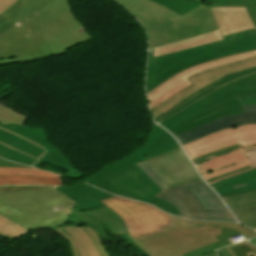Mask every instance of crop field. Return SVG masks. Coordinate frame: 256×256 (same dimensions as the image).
I'll list each match as a JSON object with an SVG mask.
<instances>
[{"label":"crop field","mask_w":256,"mask_h":256,"mask_svg":"<svg viewBox=\"0 0 256 256\" xmlns=\"http://www.w3.org/2000/svg\"><path fill=\"white\" fill-rule=\"evenodd\" d=\"M179 147L171 135L155 124L143 148L114 161L85 182L123 197L148 202L180 216L176 207L154 196L161 190L135 164Z\"/></svg>","instance_id":"8a807250"},{"label":"crop field","mask_w":256,"mask_h":256,"mask_svg":"<svg viewBox=\"0 0 256 256\" xmlns=\"http://www.w3.org/2000/svg\"><path fill=\"white\" fill-rule=\"evenodd\" d=\"M147 161L172 187L200 179L181 148Z\"/></svg>","instance_id":"5142ce71"},{"label":"crop field","mask_w":256,"mask_h":256,"mask_svg":"<svg viewBox=\"0 0 256 256\" xmlns=\"http://www.w3.org/2000/svg\"><path fill=\"white\" fill-rule=\"evenodd\" d=\"M221 231H222V235L217 236V239L220 242L192 251L190 253L184 254L183 256H217L216 250L218 248H222L225 245L231 244V241L228 238L239 235V233L233 230H227V229L221 228Z\"/></svg>","instance_id":"730fd06b"},{"label":"crop field","mask_w":256,"mask_h":256,"mask_svg":"<svg viewBox=\"0 0 256 256\" xmlns=\"http://www.w3.org/2000/svg\"><path fill=\"white\" fill-rule=\"evenodd\" d=\"M0 185H61V179L60 178L0 176Z\"/></svg>","instance_id":"eef30255"},{"label":"crop field","mask_w":256,"mask_h":256,"mask_svg":"<svg viewBox=\"0 0 256 256\" xmlns=\"http://www.w3.org/2000/svg\"><path fill=\"white\" fill-rule=\"evenodd\" d=\"M15 25L17 24L0 14V34L11 29Z\"/></svg>","instance_id":"028f5c9d"},{"label":"crop field","mask_w":256,"mask_h":256,"mask_svg":"<svg viewBox=\"0 0 256 256\" xmlns=\"http://www.w3.org/2000/svg\"><path fill=\"white\" fill-rule=\"evenodd\" d=\"M245 112L243 114L234 115L223 118L221 120L200 126L192 131L176 136L181 145L199 139L201 137L212 134L220 129L239 126L246 123L256 124V105H242Z\"/></svg>","instance_id":"4a817a6b"},{"label":"crop field","mask_w":256,"mask_h":256,"mask_svg":"<svg viewBox=\"0 0 256 256\" xmlns=\"http://www.w3.org/2000/svg\"><path fill=\"white\" fill-rule=\"evenodd\" d=\"M74 204L55 187L0 193V215L29 231L64 224Z\"/></svg>","instance_id":"412701ff"},{"label":"crop field","mask_w":256,"mask_h":256,"mask_svg":"<svg viewBox=\"0 0 256 256\" xmlns=\"http://www.w3.org/2000/svg\"><path fill=\"white\" fill-rule=\"evenodd\" d=\"M29 231L0 216V235L15 240Z\"/></svg>","instance_id":"d3111659"},{"label":"crop field","mask_w":256,"mask_h":256,"mask_svg":"<svg viewBox=\"0 0 256 256\" xmlns=\"http://www.w3.org/2000/svg\"><path fill=\"white\" fill-rule=\"evenodd\" d=\"M52 147L44 128L0 124V156L3 158L33 166Z\"/></svg>","instance_id":"3316defc"},{"label":"crop field","mask_w":256,"mask_h":256,"mask_svg":"<svg viewBox=\"0 0 256 256\" xmlns=\"http://www.w3.org/2000/svg\"><path fill=\"white\" fill-rule=\"evenodd\" d=\"M223 38L222 41L157 58L150 54L147 91L150 92L171 76L200 63L256 49L255 29Z\"/></svg>","instance_id":"dd49c442"},{"label":"crop field","mask_w":256,"mask_h":256,"mask_svg":"<svg viewBox=\"0 0 256 256\" xmlns=\"http://www.w3.org/2000/svg\"><path fill=\"white\" fill-rule=\"evenodd\" d=\"M150 1L161 4L166 8H168L169 10L181 16L202 5V3L197 0H150Z\"/></svg>","instance_id":"ae1a2a85"},{"label":"crop field","mask_w":256,"mask_h":256,"mask_svg":"<svg viewBox=\"0 0 256 256\" xmlns=\"http://www.w3.org/2000/svg\"><path fill=\"white\" fill-rule=\"evenodd\" d=\"M227 249L232 256H246L245 254L253 251L256 254V247L249 243H241L240 245L228 246Z\"/></svg>","instance_id":"d32e631a"},{"label":"crop field","mask_w":256,"mask_h":256,"mask_svg":"<svg viewBox=\"0 0 256 256\" xmlns=\"http://www.w3.org/2000/svg\"><path fill=\"white\" fill-rule=\"evenodd\" d=\"M58 190L72 198L77 204L74 207L82 212L97 208L107 207L99 201L115 196L86 184H79L67 187H57Z\"/></svg>","instance_id":"92a150f3"},{"label":"crop field","mask_w":256,"mask_h":256,"mask_svg":"<svg viewBox=\"0 0 256 256\" xmlns=\"http://www.w3.org/2000/svg\"><path fill=\"white\" fill-rule=\"evenodd\" d=\"M250 94H256V68L225 77L157 121L176 136L222 117L243 113L236 96Z\"/></svg>","instance_id":"ac0d7876"},{"label":"crop field","mask_w":256,"mask_h":256,"mask_svg":"<svg viewBox=\"0 0 256 256\" xmlns=\"http://www.w3.org/2000/svg\"><path fill=\"white\" fill-rule=\"evenodd\" d=\"M42 163L66 170L68 171L66 175L72 178L80 179L84 174L81 171L73 168L55 147L46 153L34 166L39 168Z\"/></svg>","instance_id":"4177f3b9"},{"label":"crop field","mask_w":256,"mask_h":256,"mask_svg":"<svg viewBox=\"0 0 256 256\" xmlns=\"http://www.w3.org/2000/svg\"><path fill=\"white\" fill-rule=\"evenodd\" d=\"M211 10L223 36L254 28L244 7H214Z\"/></svg>","instance_id":"214f88e0"},{"label":"crop field","mask_w":256,"mask_h":256,"mask_svg":"<svg viewBox=\"0 0 256 256\" xmlns=\"http://www.w3.org/2000/svg\"><path fill=\"white\" fill-rule=\"evenodd\" d=\"M117 2H119L120 4L124 5L125 7H130L133 4L139 2L140 0H115Z\"/></svg>","instance_id":"b80d0937"},{"label":"crop field","mask_w":256,"mask_h":256,"mask_svg":"<svg viewBox=\"0 0 256 256\" xmlns=\"http://www.w3.org/2000/svg\"><path fill=\"white\" fill-rule=\"evenodd\" d=\"M211 186L221 196L256 191V169Z\"/></svg>","instance_id":"00972430"},{"label":"crop field","mask_w":256,"mask_h":256,"mask_svg":"<svg viewBox=\"0 0 256 256\" xmlns=\"http://www.w3.org/2000/svg\"><path fill=\"white\" fill-rule=\"evenodd\" d=\"M256 67V58L245 60L238 63H233L227 66H223L218 69L209 70L206 72H202L198 75L191 77L189 80L194 84L186 89H184L179 94L173 96L169 100L165 101L155 109L151 110L153 118H157L164 114L165 112L174 108L178 103L182 102L186 98L198 93L202 89L208 87L213 82L219 80L224 76H228L232 73H236L238 71H244L247 69H251ZM201 88V90H200Z\"/></svg>","instance_id":"cbeb9de0"},{"label":"crop field","mask_w":256,"mask_h":256,"mask_svg":"<svg viewBox=\"0 0 256 256\" xmlns=\"http://www.w3.org/2000/svg\"><path fill=\"white\" fill-rule=\"evenodd\" d=\"M249 159L252 161V163L256 166V150L246 152Z\"/></svg>","instance_id":"c035e120"},{"label":"crop field","mask_w":256,"mask_h":256,"mask_svg":"<svg viewBox=\"0 0 256 256\" xmlns=\"http://www.w3.org/2000/svg\"><path fill=\"white\" fill-rule=\"evenodd\" d=\"M137 165L163 190L156 196L176 206L183 217L235 221L223 202L202 180L172 188L146 160Z\"/></svg>","instance_id":"e52e79f7"},{"label":"crop field","mask_w":256,"mask_h":256,"mask_svg":"<svg viewBox=\"0 0 256 256\" xmlns=\"http://www.w3.org/2000/svg\"><path fill=\"white\" fill-rule=\"evenodd\" d=\"M49 1L0 0V13L19 25L0 35V65L52 56L36 15Z\"/></svg>","instance_id":"34b2d1b8"},{"label":"crop field","mask_w":256,"mask_h":256,"mask_svg":"<svg viewBox=\"0 0 256 256\" xmlns=\"http://www.w3.org/2000/svg\"><path fill=\"white\" fill-rule=\"evenodd\" d=\"M37 15L43 37L53 56L91 40L86 31H79L78 28L82 26L72 14L67 0H51Z\"/></svg>","instance_id":"5a996713"},{"label":"crop field","mask_w":256,"mask_h":256,"mask_svg":"<svg viewBox=\"0 0 256 256\" xmlns=\"http://www.w3.org/2000/svg\"><path fill=\"white\" fill-rule=\"evenodd\" d=\"M241 104H256V95L238 97Z\"/></svg>","instance_id":"e1f06a70"},{"label":"crop field","mask_w":256,"mask_h":256,"mask_svg":"<svg viewBox=\"0 0 256 256\" xmlns=\"http://www.w3.org/2000/svg\"><path fill=\"white\" fill-rule=\"evenodd\" d=\"M186 222H187V226L192 225L191 220L186 219Z\"/></svg>","instance_id":"03da06ac"},{"label":"crop field","mask_w":256,"mask_h":256,"mask_svg":"<svg viewBox=\"0 0 256 256\" xmlns=\"http://www.w3.org/2000/svg\"><path fill=\"white\" fill-rule=\"evenodd\" d=\"M70 215L89 223L91 227L98 231L102 239L107 237L105 231L98 224L100 222L110 230L113 236L128 234L123 220L109 207L87 213H82L76 208H73Z\"/></svg>","instance_id":"bc2a9ffb"},{"label":"crop field","mask_w":256,"mask_h":256,"mask_svg":"<svg viewBox=\"0 0 256 256\" xmlns=\"http://www.w3.org/2000/svg\"><path fill=\"white\" fill-rule=\"evenodd\" d=\"M240 142L242 147L256 144V125L247 124L220 130L212 135L183 145L190 159L215 149Z\"/></svg>","instance_id":"22f410ed"},{"label":"crop field","mask_w":256,"mask_h":256,"mask_svg":"<svg viewBox=\"0 0 256 256\" xmlns=\"http://www.w3.org/2000/svg\"><path fill=\"white\" fill-rule=\"evenodd\" d=\"M255 56H256V50L229 56V57H225V58H221V59H217L214 61L200 64L193 68H190V69L170 78L165 83H163L161 86H159L155 90L148 93L149 103L156 100L157 98L161 97L162 95L168 93L169 91L175 89L176 87L182 85L183 83L189 81L187 78H190L194 74H198L202 71L221 67L222 65H227L229 63L238 62V61L252 58Z\"/></svg>","instance_id":"733c2abd"},{"label":"crop field","mask_w":256,"mask_h":256,"mask_svg":"<svg viewBox=\"0 0 256 256\" xmlns=\"http://www.w3.org/2000/svg\"><path fill=\"white\" fill-rule=\"evenodd\" d=\"M193 225H209V226H217V227H223V228H228V229H234L248 238L256 235V233L246 229L247 227L245 228L244 226L239 225V224L193 221Z\"/></svg>","instance_id":"120bbe31"},{"label":"crop field","mask_w":256,"mask_h":256,"mask_svg":"<svg viewBox=\"0 0 256 256\" xmlns=\"http://www.w3.org/2000/svg\"><path fill=\"white\" fill-rule=\"evenodd\" d=\"M199 1H201V2H202V0H199Z\"/></svg>","instance_id":"b54c1fbb"},{"label":"crop field","mask_w":256,"mask_h":256,"mask_svg":"<svg viewBox=\"0 0 256 256\" xmlns=\"http://www.w3.org/2000/svg\"><path fill=\"white\" fill-rule=\"evenodd\" d=\"M219 6H244L246 7L256 27V0H217Z\"/></svg>","instance_id":"1d83c4d3"},{"label":"crop field","mask_w":256,"mask_h":256,"mask_svg":"<svg viewBox=\"0 0 256 256\" xmlns=\"http://www.w3.org/2000/svg\"><path fill=\"white\" fill-rule=\"evenodd\" d=\"M192 85V83L189 81L185 84H183L182 86L176 88L175 90L169 92L168 94L162 96L161 98L157 99L156 101L150 103V108L153 109L155 108L156 106H158L160 103L164 102L165 100H167L168 98L172 97L173 95H175L176 93L182 91L184 88L188 87Z\"/></svg>","instance_id":"5866460e"},{"label":"crop field","mask_w":256,"mask_h":256,"mask_svg":"<svg viewBox=\"0 0 256 256\" xmlns=\"http://www.w3.org/2000/svg\"><path fill=\"white\" fill-rule=\"evenodd\" d=\"M101 202L119 214L133 239L164 232L163 227L172 226L167 214L148 204L118 196Z\"/></svg>","instance_id":"d1516ede"},{"label":"crop field","mask_w":256,"mask_h":256,"mask_svg":"<svg viewBox=\"0 0 256 256\" xmlns=\"http://www.w3.org/2000/svg\"><path fill=\"white\" fill-rule=\"evenodd\" d=\"M222 39L223 38L221 36V33L218 30V31L207 33V34L195 36L192 38L184 39L181 41H177L174 43L166 44L163 46H159L154 49L153 56L156 57V56L204 45V44L215 42Z\"/></svg>","instance_id":"a9b5d70f"},{"label":"crop field","mask_w":256,"mask_h":256,"mask_svg":"<svg viewBox=\"0 0 256 256\" xmlns=\"http://www.w3.org/2000/svg\"><path fill=\"white\" fill-rule=\"evenodd\" d=\"M252 149H256V146L242 148L238 143L191 160L200 174L211 185L255 169L244 152Z\"/></svg>","instance_id":"28ad6ade"},{"label":"crop field","mask_w":256,"mask_h":256,"mask_svg":"<svg viewBox=\"0 0 256 256\" xmlns=\"http://www.w3.org/2000/svg\"><path fill=\"white\" fill-rule=\"evenodd\" d=\"M219 253L221 254V256H231L226 247L220 249Z\"/></svg>","instance_id":"c21b1889"},{"label":"crop field","mask_w":256,"mask_h":256,"mask_svg":"<svg viewBox=\"0 0 256 256\" xmlns=\"http://www.w3.org/2000/svg\"><path fill=\"white\" fill-rule=\"evenodd\" d=\"M0 167H17V168H30V167H26V166H22V165H18L15 163H11L5 160L0 159Z\"/></svg>","instance_id":"0bd39190"},{"label":"crop field","mask_w":256,"mask_h":256,"mask_svg":"<svg viewBox=\"0 0 256 256\" xmlns=\"http://www.w3.org/2000/svg\"><path fill=\"white\" fill-rule=\"evenodd\" d=\"M223 198L240 222L253 229L256 228V192Z\"/></svg>","instance_id":"dafd665d"},{"label":"crop field","mask_w":256,"mask_h":256,"mask_svg":"<svg viewBox=\"0 0 256 256\" xmlns=\"http://www.w3.org/2000/svg\"><path fill=\"white\" fill-rule=\"evenodd\" d=\"M170 216L173 227L165 228L167 232L133 240L127 236L147 256H182L189 251L218 242L220 228L209 226L186 227L185 219Z\"/></svg>","instance_id":"d8731c3e"},{"label":"crop field","mask_w":256,"mask_h":256,"mask_svg":"<svg viewBox=\"0 0 256 256\" xmlns=\"http://www.w3.org/2000/svg\"><path fill=\"white\" fill-rule=\"evenodd\" d=\"M128 10L148 31L149 49L219 29L210 8L203 5L182 17L148 0Z\"/></svg>","instance_id":"f4fd0767"},{"label":"crop field","mask_w":256,"mask_h":256,"mask_svg":"<svg viewBox=\"0 0 256 256\" xmlns=\"http://www.w3.org/2000/svg\"><path fill=\"white\" fill-rule=\"evenodd\" d=\"M0 175L4 176H39V177H60L46 171L36 169L0 168Z\"/></svg>","instance_id":"750c4746"},{"label":"crop field","mask_w":256,"mask_h":256,"mask_svg":"<svg viewBox=\"0 0 256 256\" xmlns=\"http://www.w3.org/2000/svg\"><path fill=\"white\" fill-rule=\"evenodd\" d=\"M28 117L20 115L0 103V123L23 125Z\"/></svg>","instance_id":"bd1437ed"},{"label":"crop field","mask_w":256,"mask_h":256,"mask_svg":"<svg viewBox=\"0 0 256 256\" xmlns=\"http://www.w3.org/2000/svg\"><path fill=\"white\" fill-rule=\"evenodd\" d=\"M71 244L74 256H110L96 230L91 227H60L55 228Z\"/></svg>","instance_id":"d9b57169"}]
</instances>
